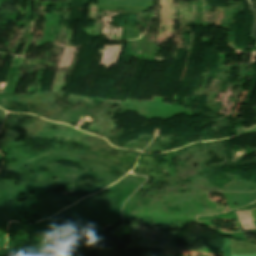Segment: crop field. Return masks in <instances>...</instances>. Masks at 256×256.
Here are the masks:
<instances>
[{
  "instance_id": "crop-field-1",
  "label": "crop field",
  "mask_w": 256,
  "mask_h": 256,
  "mask_svg": "<svg viewBox=\"0 0 256 256\" xmlns=\"http://www.w3.org/2000/svg\"><path fill=\"white\" fill-rule=\"evenodd\" d=\"M250 11H253L254 14V24L251 31V37L256 39V0H247Z\"/></svg>"
},
{
  "instance_id": "crop-field-2",
  "label": "crop field",
  "mask_w": 256,
  "mask_h": 256,
  "mask_svg": "<svg viewBox=\"0 0 256 256\" xmlns=\"http://www.w3.org/2000/svg\"><path fill=\"white\" fill-rule=\"evenodd\" d=\"M231 248H224V256H230Z\"/></svg>"
}]
</instances>
